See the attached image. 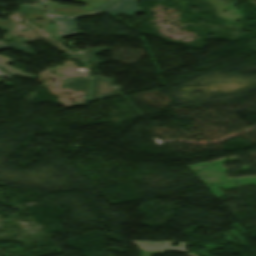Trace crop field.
I'll list each match as a JSON object with an SVG mask.
<instances>
[{
	"label": "crop field",
	"instance_id": "6",
	"mask_svg": "<svg viewBox=\"0 0 256 256\" xmlns=\"http://www.w3.org/2000/svg\"><path fill=\"white\" fill-rule=\"evenodd\" d=\"M3 49H10V46L6 42H0V50ZM9 62L10 59L0 56V67L9 72L11 75H17L25 78H36L35 76H32L30 74H26L22 71L11 68L10 66H8Z\"/></svg>",
	"mask_w": 256,
	"mask_h": 256
},
{
	"label": "crop field",
	"instance_id": "2",
	"mask_svg": "<svg viewBox=\"0 0 256 256\" xmlns=\"http://www.w3.org/2000/svg\"><path fill=\"white\" fill-rule=\"evenodd\" d=\"M92 99H89L90 79H66V88L85 90V99L96 100L99 98L120 94L121 87L113 86L114 79H103L92 76Z\"/></svg>",
	"mask_w": 256,
	"mask_h": 256
},
{
	"label": "crop field",
	"instance_id": "3",
	"mask_svg": "<svg viewBox=\"0 0 256 256\" xmlns=\"http://www.w3.org/2000/svg\"><path fill=\"white\" fill-rule=\"evenodd\" d=\"M114 1L115 0H109V1L105 2L104 4L95 8L93 10V13H89V14L68 16V15H54L52 13H48V14H46V16L49 17L52 21L56 22L59 37L76 34V33H81L82 31L77 32L75 18L104 13L101 11V9L106 7L107 5H109L110 3L114 2Z\"/></svg>",
	"mask_w": 256,
	"mask_h": 256
},
{
	"label": "crop field",
	"instance_id": "1",
	"mask_svg": "<svg viewBox=\"0 0 256 256\" xmlns=\"http://www.w3.org/2000/svg\"><path fill=\"white\" fill-rule=\"evenodd\" d=\"M10 20L12 22V29L8 32L9 34L13 36H19L25 38L28 42L21 44L19 42H11L9 43L11 48L16 51H22L25 54H33V52L29 49V47L26 45L27 43L39 39H43L53 46L57 47L59 50L64 52H69L72 54L71 58L76 59L78 61L82 60L79 57H76V53H79L86 62H92L93 64L98 63L99 61L92 55L100 51L108 50V48L103 49H94V50H87L83 52H74L72 50H69L65 47H63V44L52 37H49L47 32L42 30L41 28L29 23V20L25 19V14L16 11L9 15ZM87 55H84V54Z\"/></svg>",
	"mask_w": 256,
	"mask_h": 256
},
{
	"label": "crop field",
	"instance_id": "10",
	"mask_svg": "<svg viewBox=\"0 0 256 256\" xmlns=\"http://www.w3.org/2000/svg\"><path fill=\"white\" fill-rule=\"evenodd\" d=\"M208 251H205V252H197V253H202L201 255H204V256H210L207 254Z\"/></svg>",
	"mask_w": 256,
	"mask_h": 256
},
{
	"label": "crop field",
	"instance_id": "5",
	"mask_svg": "<svg viewBox=\"0 0 256 256\" xmlns=\"http://www.w3.org/2000/svg\"><path fill=\"white\" fill-rule=\"evenodd\" d=\"M143 242V244L141 243ZM132 243L136 244L137 246L141 247L144 250H184L185 245L183 243H180V248L171 247L170 243H176V242H157V243H150L146 241H132ZM161 243H165V245H161Z\"/></svg>",
	"mask_w": 256,
	"mask_h": 256
},
{
	"label": "crop field",
	"instance_id": "8",
	"mask_svg": "<svg viewBox=\"0 0 256 256\" xmlns=\"http://www.w3.org/2000/svg\"><path fill=\"white\" fill-rule=\"evenodd\" d=\"M139 251H141V250H139ZM140 253L141 254L139 256H152V255L156 256V255H158L160 253H164V252L152 253V252H143V251H141Z\"/></svg>",
	"mask_w": 256,
	"mask_h": 256
},
{
	"label": "crop field",
	"instance_id": "4",
	"mask_svg": "<svg viewBox=\"0 0 256 256\" xmlns=\"http://www.w3.org/2000/svg\"><path fill=\"white\" fill-rule=\"evenodd\" d=\"M137 1L138 0H118L103 10L112 16L118 13L135 16L140 12L136 5Z\"/></svg>",
	"mask_w": 256,
	"mask_h": 256
},
{
	"label": "crop field",
	"instance_id": "9",
	"mask_svg": "<svg viewBox=\"0 0 256 256\" xmlns=\"http://www.w3.org/2000/svg\"><path fill=\"white\" fill-rule=\"evenodd\" d=\"M0 77H12L9 74L5 73L4 71L0 70Z\"/></svg>",
	"mask_w": 256,
	"mask_h": 256
},
{
	"label": "crop field",
	"instance_id": "7",
	"mask_svg": "<svg viewBox=\"0 0 256 256\" xmlns=\"http://www.w3.org/2000/svg\"><path fill=\"white\" fill-rule=\"evenodd\" d=\"M21 7L32 8V9H45L42 4H37V5H21Z\"/></svg>",
	"mask_w": 256,
	"mask_h": 256
},
{
	"label": "crop field",
	"instance_id": "11",
	"mask_svg": "<svg viewBox=\"0 0 256 256\" xmlns=\"http://www.w3.org/2000/svg\"><path fill=\"white\" fill-rule=\"evenodd\" d=\"M189 255H191V256H195V255H193V254H189Z\"/></svg>",
	"mask_w": 256,
	"mask_h": 256
}]
</instances>
